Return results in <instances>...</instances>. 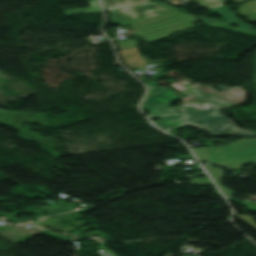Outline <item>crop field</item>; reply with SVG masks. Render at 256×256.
<instances>
[{
	"mask_svg": "<svg viewBox=\"0 0 256 256\" xmlns=\"http://www.w3.org/2000/svg\"><path fill=\"white\" fill-rule=\"evenodd\" d=\"M169 84L180 92L181 97L215 101L222 103L225 107L215 102L196 101L187 98L181 99V107H171V102L179 99L176 91L160 87L157 83H147L149 94L141 105V109L150 110L147 115L150 119L153 117L161 118L157 121L151 119L158 127L170 129L179 125H189L208 130L214 135L256 136L255 131L237 127L219 112L222 108L244 100L245 92L242 87L215 86L222 91L216 92L211 86H202L189 80H179ZM178 110L183 112L182 117L179 116Z\"/></svg>",
	"mask_w": 256,
	"mask_h": 256,
	"instance_id": "8a807250",
	"label": "crop field"
},
{
	"mask_svg": "<svg viewBox=\"0 0 256 256\" xmlns=\"http://www.w3.org/2000/svg\"><path fill=\"white\" fill-rule=\"evenodd\" d=\"M192 150L199 159L207 160V163L210 164L228 168L227 166L233 160L256 153V139H244L222 147L192 148ZM252 159L255 161H252ZM247 162L256 164V155L237 160L228 169H241L240 166Z\"/></svg>",
	"mask_w": 256,
	"mask_h": 256,
	"instance_id": "ac0d7876",
	"label": "crop field"
},
{
	"mask_svg": "<svg viewBox=\"0 0 256 256\" xmlns=\"http://www.w3.org/2000/svg\"><path fill=\"white\" fill-rule=\"evenodd\" d=\"M171 14V16H168ZM196 18L184 13L171 11L131 23L136 35L147 42L169 35L181 29L192 27ZM154 31L155 33H152Z\"/></svg>",
	"mask_w": 256,
	"mask_h": 256,
	"instance_id": "34b2d1b8",
	"label": "crop field"
},
{
	"mask_svg": "<svg viewBox=\"0 0 256 256\" xmlns=\"http://www.w3.org/2000/svg\"><path fill=\"white\" fill-rule=\"evenodd\" d=\"M102 2L110 11L112 22L121 25L171 11L151 0H102Z\"/></svg>",
	"mask_w": 256,
	"mask_h": 256,
	"instance_id": "412701ff",
	"label": "crop field"
},
{
	"mask_svg": "<svg viewBox=\"0 0 256 256\" xmlns=\"http://www.w3.org/2000/svg\"><path fill=\"white\" fill-rule=\"evenodd\" d=\"M210 12H212L214 14H218L227 20L222 22V21H218V20L211 19L208 17H204V18L200 19L208 26L222 27V28L238 31L241 33H245L248 35L256 36V30L252 29L251 27L247 26L245 23L241 22L238 19V17L236 16V14L233 13L232 11H230L228 5L221 6V7L215 8V9H211ZM227 23H234V24L239 25L240 27L231 28L226 25Z\"/></svg>",
	"mask_w": 256,
	"mask_h": 256,
	"instance_id": "f4fd0767",
	"label": "crop field"
},
{
	"mask_svg": "<svg viewBox=\"0 0 256 256\" xmlns=\"http://www.w3.org/2000/svg\"><path fill=\"white\" fill-rule=\"evenodd\" d=\"M207 171L210 173V175L213 177L215 180L216 184L219 186V188L222 190V192L225 194V196L232 195L233 192L229 191L228 189L224 188L221 184V178L224 173L223 169L211 167L209 165L206 166Z\"/></svg>",
	"mask_w": 256,
	"mask_h": 256,
	"instance_id": "dd49c442",
	"label": "crop field"
},
{
	"mask_svg": "<svg viewBox=\"0 0 256 256\" xmlns=\"http://www.w3.org/2000/svg\"><path fill=\"white\" fill-rule=\"evenodd\" d=\"M239 13L245 15L253 23L256 22V0L239 6Z\"/></svg>",
	"mask_w": 256,
	"mask_h": 256,
	"instance_id": "e52e79f7",
	"label": "crop field"
},
{
	"mask_svg": "<svg viewBox=\"0 0 256 256\" xmlns=\"http://www.w3.org/2000/svg\"><path fill=\"white\" fill-rule=\"evenodd\" d=\"M89 4L91 5V8L78 9V10H69V11H65V13H66V15H71V14H81V13H89V12L101 11L99 3H98L97 0L90 1Z\"/></svg>",
	"mask_w": 256,
	"mask_h": 256,
	"instance_id": "d8731c3e",
	"label": "crop field"
},
{
	"mask_svg": "<svg viewBox=\"0 0 256 256\" xmlns=\"http://www.w3.org/2000/svg\"><path fill=\"white\" fill-rule=\"evenodd\" d=\"M205 8L210 9L214 7L221 6L226 3L227 0H196Z\"/></svg>",
	"mask_w": 256,
	"mask_h": 256,
	"instance_id": "5a996713",
	"label": "crop field"
},
{
	"mask_svg": "<svg viewBox=\"0 0 256 256\" xmlns=\"http://www.w3.org/2000/svg\"><path fill=\"white\" fill-rule=\"evenodd\" d=\"M116 44L118 48L121 49L136 46L137 43L134 40H121L116 42Z\"/></svg>",
	"mask_w": 256,
	"mask_h": 256,
	"instance_id": "3316defc",
	"label": "crop field"
},
{
	"mask_svg": "<svg viewBox=\"0 0 256 256\" xmlns=\"http://www.w3.org/2000/svg\"><path fill=\"white\" fill-rule=\"evenodd\" d=\"M228 199L231 201L237 202L239 204L247 206V209H249V210L256 211V202H249V201L239 202L231 197Z\"/></svg>",
	"mask_w": 256,
	"mask_h": 256,
	"instance_id": "28ad6ade",
	"label": "crop field"
},
{
	"mask_svg": "<svg viewBox=\"0 0 256 256\" xmlns=\"http://www.w3.org/2000/svg\"><path fill=\"white\" fill-rule=\"evenodd\" d=\"M212 184L210 179L192 178L191 185Z\"/></svg>",
	"mask_w": 256,
	"mask_h": 256,
	"instance_id": "d1516ede",
	"label": "crop field"
},
{
	"mask_svg": "<svg viewBox=\"0 0 256 256\" xmlns=\"http://www.w3.org/2000/svg\"><path fill=\"white\" fill-rule=\"evenodd\" d=\"M17 137H19V138H21V139H23V140H25V141H27V142L33 141V140L29 139L28 137H26V136H24V135H22V134H18Z\"/></svg>",
	"mask_w": 256,
	"mask_h": 256,
	"instance_id": "22f410ed",
	"label": "crop field"
},
{
	"mask_svg": "<svg viewBox=\"0 0 256 256\" xmlns=\"http://www.w3.org/2000/svg\"><path fill=\"white\" fill-rule=\"evenodd\" d=\"M158 3H161V4L165 5V6L170 7V8H173V9H177V8H175V7H172V6H169V5H167V4H164V3L160 2V1H159Z\"/></svg>",
	"mask_w": 256,
	"mask_h": 256,
	"instance_id": "cbeb9de0",
	"label": "crop field"
},
{
	"mask_svg": "<svg viewBox=\"0 0 256 256\" xmlns=\"http://www.w3.org/2000/svg\"><path fill=\"white\" fill-rule=\"evenodd\" d=\"M236 3L246 1V0H234Z\"/></svg>",
	"mask_w": 256,
	"mask_h": 256,
	"instance_id": "5142ce71",
	"label": "crop field"
}]
</instances>
